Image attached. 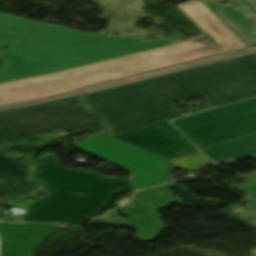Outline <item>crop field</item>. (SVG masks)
<instances>
[{"instance_id":"crop-field-1","label":"crop field","mask_w":256,"mask_h":256,"mask_svg":"<svg viewBox=\"0 0 256 256\" xmlns=\"http://www.w3.org/2000/svg\"><path fill=\"white\" fill-rule=\"evenodd\" d=\"M200 95L212 107L256 95V54L221 61L97 93L93 110L121 132L184 116L171 102Z\"/></svg>"},{"instance_id":"crop-field-2","label":"crop field","mask_w":256,"mask_h":256,"mask_svg":"<svg viewBox=\"0 0 256 256\" xmlns=\"http://www.w3.org/2000/svg\"><path fill=\"white\" fill-rule=\"evenodd\" d=\"M181 8L218 44L204 46L187 42L68 72L3 84L0 85V105L55 95L246 47L199 0Z\"/></svg>"},{"instance_id":"crop-field-3","label":"crop field","mask_w":256,"mask_h":256,"mask_svg":"<svg viewBox=\"0 0 256 256\" xmlns=\"http://www.w3.org/2000/svg\"><path fill=\"white\" fill-rule=\"evenodd\" d=\"M181 41L75 31L0 50V84L55 73Z\"/></svg>"},{"instance_id":"crop-field-4","label":"crop field","mask_w":256,"mask_h":256,"mask_svg":"<svg viewBox=\"0 0 256 256\" xmlns=\"http://www.w3.org/2000/svg\"><path fill=\"white\" fill-rule=\"evenodd\" d=\"M70 130L76 134L109 131L101 115L89 110L83 96L0 111V144L46 133ZM31 166L0 152V198L23 196L41 185L30 176Z\"/></svg>"},{"instance_id":"crop-field-5","label":"crop field","mask_w":256,"mask_h":256,"mask_svg":"<svg viewBox=\"0 0 256 256\" xmlns=\"http://www.w3.org/2000/svg\"><path fill=\"white\" fill-rule=\"evenodd\" d=\"M35 176L52 194L30 204L24 222H84L108 208L117 192H135L129 178L67 168L59 164L54 153L40 161Z\"/></svg>"},{"instance_id":"crop-field-6","label":"crop field","mask_w":256,"mask_h":256,"mask_svg":"<svg viewBox=\"0 0 256 256\" xmlns=\"http://www.w3.org/2000/svg\"><path fill=\"white\" fill-rule=\"evenodd\" d=\"M200 149L256 133V97L171 121Z\"/></svg>"},{"instance_id":"crop-field-7","label":"crop field","mask_w":256,"mask_h":256,"mask_svg":"<svg viewBox=\"0 0 256 256\" xmlns=\"http://www.w3.org/2000/svg\"><path fill=\"white\" fill-rule=\"evenodd\" d=\"M71 145L130 171L137 189L171 182L168 161L100 136Z\"/></svg>"},{"instance_id":"crop-field-8","label":"crop field","mask_w":256,"mask_h":256,"mask_svg":"<svg viewBox=\"0 0 256 256\" xmlns=\"http://www.w3.org/2000/svg\"><path fill=\"white\" fill-rule=\"evenodd\" d=\"M175 185V183H171L142 190L136 194L132 203L120 207L129 217L130 223L139 232L135 237L144 241L155 240L165 228L156 210L171 203L184 205L181 199L171 196L169 188H173ZM128 205L131 207H127Z\"/></svg>"},{"instance_id":"crop-field-9","label":"crop field","mask_w":256,"mask_h":256,"mask_svg":"<svg viewBox=\"0 0 256 256\" xmlns=\"http://www.w3.org/2000/svg\"><path fill=\"white\" fill-rule=\"evenodd\" d=\"M112 137L167 159L197 151L167 121Z\"/></svg>"},{"instance_id":"crop-field-10","label":"crop field","mask_w":256,"mask_h":256,"mask_svg":"<svg viewBox=\"0 0 256 256\" xmlns=\"http://www.w3.org/2000/svg\"><path fill=\"white\" fill-rule=\"evenodd\" d=\"M219 6L214 0L201 2L247 47L256 45V0H227Z\"/></svg>"},{"instance_id":"crop-field-11","label":"crop field","mask_w":256,"mask_h":256,"mask_svg":"<svg viewBox=\"0 0 256 256\" xmlns=\"http://www.w3.org/2000/svg\"><path fill=\"white\" fill-rule=\"evenodd\" d=\"M56 229L55 225L0 223L1 256H34Z\"/></svg>"},{"instance_id":"crop-field-12","label":"crop field","mask_w":256,"mask_h":256,"mask_svg":"<svg viewBox=\"0 0 256 256\" xmlns=\"http://www.w3.org/2000/svg\"><path fill=\"white\" fill-rule=\"evenodd\" d=\"M70 31L74 30L0 12V49Z\"/></svg>"},{"instance_id":"crop-field-13","label":"crop field","mask_w":256,"mask_h":256,"mask_svg":"<svg viewBox=\"0 0 256 256\" xmlns=\"http://www.w3.org/2000/svg\"><path fill=\"white\" fill-rule=\"evenodd\" d=\"M203 153L213 162L256 154V135L218 146Z\"/></svg>"},{"instance_id":"crop-field-14","label":"crop field","mask_w":256,"mask_h":256,"mask_svg":"<svg viewBox=\"0 0 256 256\" xmlns=\"http://www.w3.org/2000/svg\"><path fill=\"white\" fill-rule=\"evenodd\" d=\"M233 186L242 187L240 190L246 191L247 194L249 195L243 199L251 198L247 201L251 203V204L249 203L251 206H254L256 208V185L255 184H253L250 181H247V182H244L242 185L236 184ZM231 209L233 211L228 214L229 216L237 220H240L242 222L251 223L256 227V210L255 209L249 208V207L240 208L236 206L231 207Z\"/></svg>"},{"instance_id":"crop-field-15","label":"crop field","mask_w":256,"mask_h":256,"mask_svg":"<svg viewBox=\"0 0 256 256\" xmlns=\"http://www.w3.org/2000/svg\"><path fill=\"white\" fill-rule=\"evenodd\" d=\"M210 164L208 159L200 152L190 154L171 161V167L181 168L187 173L192 172L194 169L201 166Z\"/></svg>"},{"instance_id":"crop-field-16","label":"crop field","mask_w":256,"mask_h":256,"mask_svg":"<svg viewBox=\"0 0 256 256\" xmlns=\"http://www.w3.org/2000/svg\"><path fill=\"white\" fill-rule=\"evenodd\" d=\"M255 173H256V171L253 173V175H245V177L256 182V174Z\"/></svg>"},{"instance_id":"crop-field-17","label":"crop field","mask_w":256,"mask_h":256,"mask_svg":"<svg viewBox=\"0 0 256 256\" xmlns=\"http://www.w3.org/2000/svg\"><path fill=\"white\" fill-rule=\"evenodd\" d=\"M251 256H255V255L253 254V255H251Z\"/></svg>"}]
</instances>
